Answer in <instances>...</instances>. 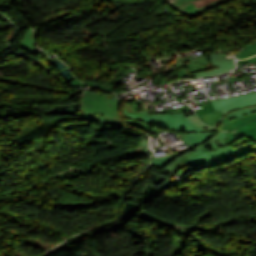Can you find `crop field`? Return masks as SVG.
Instances as JSON below:
<instances>
[{
    "label": "crop field",
    "mask_w": 256,
    "mask_h": 256,
    "mask_svg": "<svg viewBox=\"0 0 256 256\" xmlns=\"http://www.w3.org/2000/svg\"><path fill=\"white\" fill-rule=\"evenodd\" d=\"M224 113L222 112H214L205 116L199 117L202 122L212 126Z\"/></svg>",
    "instance_id": "12"
},
{
    "label": "crop field",
    "mask_w": 256,
    "mask_h": 256,
    "mask_svg": "<svg viewBox=\"0 0 256 256\" xmlns=\"http://www.w3.org/2000/svg\"><path fill=\"white\" fill-rule=\"evenodd\" d=\"M253 112H256V105L235 110V111L229 113L227 115V117L230 120H232L234 118H237V117H240V116H244V115H248V114L253 113Z\"/></svg>",
    "instance_id": "10"
},
{
    "label": "crop field",
    "mask_w": 256,
    "mask_h": 256,
    "mask_svg": "<svg viewBox=\"0 0 256 256\" xmlns=\"http://www.w3.org/2000/svg\"><path fill=\"white\" fill-rule=\"evenodd\" d=\"M193 1H195V0H173V3H171V4L177 8V7H180L184 4H187V3H190Z\"/></svg>",
    "instance_id": "17"
},
{
    "label": "crop field",
    "mask_w": 256,
    "mask_h": 256,
    "mask_svg": "<svg viewBox=\"0 0 256 256\" xmlns=\"http://www.w3.org/2000/svg\"><path fill=\"white\" fill-rule=\"evenodd\" d=\"M124 115L126 118L136 119L151 126L174 132H218V130L203 125L195 115L186 117L184 112L150 115V111L133 112V105H125Z\"/></svg>",
    "instance_id": "2"
},
{
    "label": "crop field",
    "mask_w": 256,
    "mask_h": 256,
    "mask_svg": "<svg viewBox=\"0 0 256 256\" xmlns=\"http://www.w3.org/2000/svg\"><path fill=\"white\" fill-rule=\"evenodd\" d=\"M226 134L228 135L229 138L224 139L225 143H231L239 138H241L242 136L238 135L237 133L234 132H226Z\"/></svg>",
    "instance_id": "16"
},
{
    "label": "crop field",
    "mask_w": 256,
    "mask_h": 256,
    "mask_svg": "<svg viewBox=\"0 0 256 256\" xmlns=\"http://www.w3.org/2000/svg\"><path fill=\"white\" fill-rule=\"evenodd\" d=\"M252 56V55H251ZM247 57H249V56H246V57H240V58H247Z\"/></svg>",
    "instance_id": "21"
},
{
    "label": "crop field",
    "mask_w": 256,
    "mask_h": 256,
    "mask_svg": "<svg viewBox=\"0 0 256 256\" xmlns=\"http://www.w3.org/2000/svg\"><path fill=\"white\" fill-rule=\"evenodd\" d=\"M208 54L212 65L219 66V68L212 69L207 72H201L199 74H191L192 77H205L216 75L222 72L230 71L235 67L234 59H226V55L211 52H208Z\"/></svg>",
    "instance_id": "5"
},
{
    "label": "crop field",
    "mask_w": 256,
    "mask_h": 256,
    "mask_svg": "<svg viewBox=\"0 0 256 256\" xmlns=\"http://www.w3.org/2000/svg\"><path fill=\"white\" fill-rule=\"evenodd\" d=\"M181 136L191 148L168 156H153L151 166L172 173L170 177L187 165L195 169L210 167L225 163L245 153L256 150V146L251 147L249 144L236 149L231 145L220 149L215 141L221 142L224 146L226 144L222 139L227 138L225 132L221 131L218 133H190Z\"/></svg>",
    "instance_id": "1"
},
{
    "label": "crop field",
    "mask_w": 256,
    "mask_h": 256,
    "mask_svg": "<svg viewBox=\"0 0 256 256\" xmlns=\"http://www.w3.org/2000/svg\"><path fill=\"white\" fill-rule=\"evenodd\" d=\"M139 218L150 221V222H153V223H156L158 225H161V226H164L166 228L175 230L177 232H181V233H183L187 236H189V234L192 230V228H190V227H185V226H181V225L168 223V222L162 221L160 219L154 218L152 216H149V215L145 214L144 212L141 214V216Z\"/></svg>",
    "instance_id": "6"
},
{
    "label": "crop field",
    "mask_w": 256,
    "mask_h": 256,
    "mask_svg": "<svg viewBox=\"0 0 256 256\" xmlns=\"http://www.w3.org/2000/svg\"><path fill=\"white\" fill-rule=\"evenodd\" d=\"M213 1H215V0H198L196 2H193V4L196 5L198 8H200V7H202V6L206 5V4H209V3L213 2Z\"/></svg>",
    "instance_id": "18"
},
{
    "label": "crop field",
    "mask_w": 256,
    "mask_h": 256,
    "mask_svg": "<svg viewBox=\"0 0 256 256\" xmlns=\"http://www.w3.org/2000/svg\"><path fill=\"white\" fill-rule=\"evenodd\" d=\"M235 131L256 141V120L245 124L244 126L236 129Z\"/></svg>",
    "instance_id": "9"
},
{
    "label": "crop field",
    "mask_w": 256,
    "mask_h": 256,
    "mask_svg": "<svg viewBox=\"0 0 256 256\" xmlns=\"http://www.w3.org/2000/svg\"><path fill=\"white\" fill-rule=\"evenodd\" d=\"M83 103L79 117L114 127H125L119 112L120 102L88 91L81 95Z\"/></svg>",
    "instance_id": "3"
},
{
    "label": "crop field",
    "mask_w": 256,
    "mask_h": 256,
    "mask_svg": "<svg viewBox=\"0 0 256 256\" xmlns=\"http://www.w3.org/2000/svg\"><path fill=\"white\" fill-rule=\"evenodd\" d=\"M239 62H256V56L251 57V58H249V59H247V60H241V61H239Z\"/></svg>",
    "instance_id": "20"
},
{
    "label": "crop field",
    "mask_w": 256,
    "mask_h": 256,
    "mask_svg": "<svg viewBox=\"0 0 256 256\" xmlns=\"http://www.w3.org/2000/svg\"><path fill=\"white\" fill-rule=\"evenodd\" d=\"M214 111L215 110H214L211 102H209L206 106L196 110V113L198 114V116H200V115L208 114V113H211V112H214Z\"/></svg>",
    "instance_id": "15"
},
{
    "label": "crop field",
    "mask_w": 256,
    "mask_h": 256,
    "mask_svg": "<svg viewBox=\"0 0 256 256\" xmlns=\"http://www.w3.org/2000/svg\"><path fill=\"white\" fill-rule=\"evenodd\" d=\"M136 155H148L149 156L147 138H143L142 142L135 147L131 156H136Z\"/></svg>",
    "instance_id": "11"
},
{
    "label": "crop field",
    "mask_w": 256,
    "mask_h": 256,
    "mask_svg": "<svg viewBox=\"0 0 256 256\" xmlns=\"http://www.w3.org/2000/svg\"><path fill=\"white\" fill-rule=\"evenodd\" d=\"M255 119H256V113L250 114L245 117H240V118L234 119L232 121H230L227 117H225V119L221 122L219 129L233 130V129H235L249 121L255 120Z\"/></svg>",
    "instance_id": "7"
},
{
    "label": "crop field",
    "mask_w": 256,
    "mask_h": 256,
    "mask_svg": "<svg viewBox=\"0 0 256 256\" xmlns=\"http://www.w3.org/2000/svg\"><path fill=\"white\" fill-rule=\"evenodd\" d=\"M253 99V101H252ZM216 111H222L225 114L213 125V127L218 128L220 122L223 118L231 111L256 104V92L249 93L240 96H234L224 99H218L211 101Z\"/></svg>",
    "instance_id": "4"
},
{
    "label": "crop field",
    "mask_w": 256,
    "mask_h": 256,
    "mask_svg": "<svg viewBox=\"0 0 256 256\" xmlns=\"http://www.w3.org/2000/svg\"><path fill=\"white\" fill-rule=\"evenodd\" d=\"M223 1H227V0H217V1H215V2H213L211 4H209V5H206V6L202 7V8H200V9H198L196 6H194L191 3V4H188V5H185V6L181 7V8H178L177 10L183 12L186 15L195 16L198 13H200L201 11H203V10L209 8V7H212V6H214V5L218 4V3H221Z\"/></svg>",
    "instance_id": "8"
},
{
    "label": "crop field",
    "mask_w": 256,
    "mask_h": 256,
    "mask_svg": "<svg viewBox=\"0 0 256 256\" xmlns=\"http://www.w3.org/2000/svg\"><path fill=\"white\" fill-rule=\"evenodd\" d=\"M161 131H164V130H162V129H160V128L154 127L153 130H152L150 133L157 135V134H158L159 132H161Z\"/></svg>",
    "instance_id": "19"
},
{
    "label": "crop field",
    "mask_w": 256,
    "mask_h": 256,
    "mask_svg": "<svg viewBox=\"0 0 256 256\" xmlns=\"http://www.w3.org/2000/svg\"><path fill=\"white\" fill-rule=\"evenodd\" d=\"M255 53H256V43L251 44V45L247 46L246 48L242 49L241 51H239L238 54L236 55V57L251 55V54H255Z\"/></svg>",
    "instance_id": "14"
},
{
    "label": "crop field",
    "mask_w": 256,
    "mask_h": 256,
    "mask_svg": "<svg viewBox=\"0 0 256 256\" xmlns=\"http://www.w3.org/2000/svg\"><path fill=\"white\" fill-rule=\"evenodd\" d=\"M126 120H127V122H128L130 125H132V126H134V127H137V128H139V129H141V130L147 132V133L153 128V127H151V126H149V125H147V124H145V123H141V122L136 121V120H131V119H126Z\"/></svg>",
    "instance_id": "13"
}]
</instances>
